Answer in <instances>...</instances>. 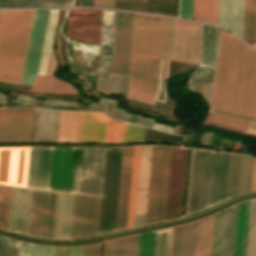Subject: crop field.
<instances>
[{"label":"crop field","mask_w":256,"mask_h":256,"mask_svg":"<svg viewBox=\"0 0 256 256\" xmlns=\"http://www.w3.org/2000/svg\"><path fill=\"white\" fill-rule=\"evenodd\" d=\"M211 111L256 121V51L224 31Z\"/></svg>","instance_id":"1"},{"label":"crop field","mask_w":256,"mask_h":256,"mask_svg":"<svg viewBox=\"0 0 256 256\" xmlns=\"http://www.w3.org/2000/svg\"><path fill=\"white\" fill-rule=\"evenodd\" d=\"M163 17L135 14L128 96L152 104L159 72Z\"/></svg>","instance_id":"2"},{"label":"crop field","mask_w":256,"mask_h":256,"mask_svg":"<svg viewBox=\"0 0 256 256\" xmlns=\"http://www.w3.org/2000/svg\"><path fill=\"white\" fill-rule=\"evenodd\" d=\"M75 194L33 189L29 236L70 239Z\"/></svg>","instance_id":"3"},{"label":"crop field","mask_w":256,"mask_h":256,"mask_svg":"<svg viewBox=\"0 0 256 256\" xmlns=\"http://www.w3.org/2000/svg\"><path fill=\"white\" fill-rule=\"evenodd\" d=\"M34 10H2L0 80L19 83Z\"/></svg>","instance_id":"4"},{"label":"crop field","mask_w":256,"mask_h":256,"mask_svg":"<svg viewBox=\"0 0 256 256\" xmlns=\"http://www.w3.org/2000/svg\"><path fill=\"white\" fill-rule=\"evenodd\" d=\"M202 24L164 17L161 57L200 64Z\"/></svg>","instance_id":"5"},{"label":"crop field","mask_w":256,"mask_h":256,"mask_svg":"<svg viewBox=\"0 0 256 256\" xmlns=\"http://www.w3.org/2000/svg\"><path fill=\"white\" fill-rule=\"evenodd\" d=\"M214 215L173 228L170 256H209Z\"/></svg>","instance_id":"6"},{"label":"crop field","mask_w":256,"mask_h":256,"mask_svg":"<svg viewBox=\"0 0 256 256\" xmlns=\"http://www.w3.org/2000/svg\"><path fill=\"white\" fill-rule=\"evenodd\" d=\"M171 148L154 147L146 224L164 220Z\"/></svg>","instance_id":"7"},{"label":"crop field","mask_w":256,"mask_h":256,"mask_svg":"<svg viewBox=\"0 0 256 256\" xmlns=\"http://www.w3.org/2000/svg\"><path fill=\"white\" fill-rule=\"evenodd\" d=\"M122 147L107 148L98 234L114 230Z\"/></svg>","instance_id":"8"},{"label":"crop field","mask_w":256,"mask_h":256,"mask_svg":"<svg viewBox=\"0 0 256 256\" xmlns=\"http://www.w3.org/2000/svg\"><path fill=\"white\" fill-rule=\"evenodd\" d=\"M213 152L193 150L187 215L208 208Z\"/></svg>","instance_id":"9"},{"label":"crop field","mask_w":256,"mask_h":256,"mask_svg":"<svg viewBox=\"0 0 256 256\" xmlns=\"http://www.w3.org/2000/svg\"><path fill=\"white\" fill-rule=\"evenodd\" d=\"M134 14L116 12L112 74L129 75Z\"/></svg>","instance_id":"10"},{"label":"crop field","mask_w":256,"mask_h":256,"mask_svg":"<svg viewBox=\"0 0 256 256\" xmlns=\"http://www.w3.org/2000/svg\"><path fill=\"white\" fill-rule=\"evenodd\" d=\"M101 197L76 194L71 239L97 235Z\"/></svg>","instance_id":"11"},{"label":"crop field","mask_w":256,"mask_h":256,"mask_svg":"<svg viewBox=\"0 0 256 256\" xmlns=\"http://www.w3.org/2000/svg\"><path fill=\"white\" fill-rule=\"evenodd\" d=\"M49 10H35L20 83L35 80Z\"/></svg>","instance_id":"12"},{"label":"crop field","mask_w":256,"mask_h":256,"mask_svg":"<svg viewBox=\"0 0 256 256\" xmlns=\"http://www.w3.org/2000/svg\"><path fill=\"white\" fill-rule=\"evenodd\" d=\"M32 110L0 107V143L28 142Z\"/></svg>","instance_id":"13"},{"label":"crop field","mask_w":256,"mask_h":256,"mask_svg":"<svg viewBox=\"0 0 256 256\" xmlns=\"http://www.w3.org/2000/svg\"><path fill=\"white\" fill-rule=\"evenodd\" d=\"M106 148H84L79 193L101 195Z\"/></svg>","instance_id":"14"},{"label":"crop field","mask_w":256,"mask_h":256,"mask_svg":"<svg viewBox=\"0 0 256 256\" xmlns=\"http://www.w3.org/2000/svg\"><path fill=\"white\" fill-rule=\"evenodd\" d=\"M102 10H69L67 36L98 44Z\"/></svg>","instance_id":"15"},{"label":"crop field","mask_w":256,"mask_h":256,"mask_svg":"<svg viewBox=\"0 0 256 256\" xmlns=\"http://www.w3.org/2000/svg\"><path fill=\"white\" fill-rule=\"evenodd\" d=\"M186 149L172 148L165 220L179 217Z\"/></svg>","instance_id":"16"},{"label":"crop field","mask_w":256,"mask_h":256,"mask_svg":"<svg viewBox=\"0 0 256 256\" xmlns=\"http://www.w3.org/2000/svg\"><path fill=\"white\" fill-rule=\"evenodd\" d=\"M29 147L0 148V184L25 187Z\"/></svg>","instance_id":"17"},{"label":"crop field","mask_w":256,"mask_h":256,"mask_svg":"<svg viewBox=\"0 0 256 256\" xmlns=\"http://www.w3.org/2000/svg\"><path fill=\"white\" fill-rule=\"evenodd\" d=\"M32 189L12 187L8 230L28 235Z\"/></svg>","instance_id":"18"},{"label":"crop field","mask_w":256,"mask_h":256,"mask_svg":"<svg viewBox=\"0 0 256 256\" xmlns=\"http://www.w3.org/2000/svg\"><path fill=\"white\" fill-rule=\"evenodd\" d=\"M232 154L214 152L209 207L228 198Z\"/></svg>","instance_id":"19"},{"label":"crop field","mask_w":256,"mask_h":256,"mask_svg":"<svg viewBox=\"0 0 256 256\" xmlns=\"http://www.w3.org/2000/svg\"><path fill=\"white\" fill-rule=\"evenodd\" d=\"M74 148H53L49 189L70 192Z\"/></svg>","instance_id":"20"},{"label":"crop field","mask_w":256,"mask_h":256,"mask_svg":"<svg viewBox=\"0 0 256 256\" xmlns=\"http://www.w3.org/2000/svg\"><path fill=\"white\" fill-rule=\"evenodd\" d=\"M134 147H123L115 230L126 228Z\"/></svg>","instance_id":"21"},{"label":"crop field","mask_w":256,"mask_h":256,"mask_svg":"<svg viewBox=\"0 0 256 256\" xmlns=\"http://www.w3.org/2000/svg\"><path fill=\"white\" fill-rule=\"evenodd\" d=\"M52 148L30 147L26 187L48 189Z\"/></svg>","instance_id":"22"},{"label":"crop field","mask_w":256,"mask_h":256,"mask_svg":"<svg viewBox=\"0 0 256 256\" xmlns=\"http://www.w3.org/2000/svg\"><path fill=\"white\" fill-rule=\"evenodd\" d=\"M235 206L215 215L211 255L230 256Z\"/></svg>","instance_id":"23"},{"label":"crop field","mask_w":256,"mask_h":256,"mask_svg":"<svg viewBox=\"0 0 256 256\" xmlns=\"http://www.w3.org/2000/svg\"><path fill=\"white\" fill-rule=\"evenodd\" d=\"M60 110L33 111L29 142H56Z\"/></svg>","instance_id":"24"},{"label":"crop field","mask_w":256,"mask_h":256,"mask_svg":"<svg viewBox=\"0 0 256 256\" xmlns=\"http://www.w3.org/2000/svg\"><path fill=\"white\" fill-rule=\"evenodd\" d=\"M115 12L103 10L98 77H110Z\"/></svg>","instance_id":"25"},{"label":"crop field","mask_w":256,"mask_h":256,"mask_svg":"<svg viewBox=\"0 0 256 256\" xmlns=\"http://www.w3.org/2000/svg\"><path fill=\"white\" fill-rule=\"evenodd\" d=\"M244 0H219L218 25L242 38Z\"/></svg>","instance_id":"26"},{"label":"crop field","mask_w":256,"mask_h":256,"mask_svg":"<svg viewBox=\"0 0 256 256\" xmlns=\"http://www.w3.org/2000/svg\"><path fill=\"white\" fill-rule=\"evenodd\" d=\"M172 228L139 235L137 256H169Z\"/></svg>","instance_id":"27"},{"label":"crop field","mask_w":256,"mask_h":256,"mask_svg":"<svg viewBox=\"0 0 256 256\" xmlns=\"http://www.w3.org/2000/svg\"><path fill=\"white\" fill-rule=\"evenodd\" d=\"M251 200L236 205L231 256H245Z\"/></svg>","instance_id":"28"},{"label":"crop field","mask_w":256,"mask_h":256,"mask_svg":"<svg viewBox=\"0 0 256 256\" xmlns=\"http://www.w3.org/2000/svg\"><path fill=\"white\" fill-rule=\"evenodd\" d=\"M193 0H180L179 16L192 19ZM218 0H194L193 19L217 24Z\"/></svg>","instance_id":"29"},{"label":"crop field","mask_w":256,"mask_h":256,"mask_svg":"<svg viewBox=\"0 0 256 256\" xmlns=\"http://www.w3.org/2000/svg\"><path fill=\"white\" fill-rule=\"evenodd\" d=\"M240 155L233 154L229 198L237 194ZM253 158L241 155L238 194L250 191Z\"/></svg>","instance_id":"30"},{"label":"crop field","mask_w":256,"mask_h":256,"mask_svg":"<svg viewBox=\"0 0 256 256\" xmlns=\"http://www.w3.org/2000/svg\"><path fill=\"white\" fill-rule=\"evenodd\" d=\"M174 0H114V9L153 12L173 16Z\"/></svg>","instance_id":"31"},{"label":"crop field","mask_w":256,"mask_h":256,"mask_svg":"<svg viewBox=\"0 0 256 256\" xmlns=\"http://www.w3.org/2000/svg\"><path fill=\"white\" fill-rule=\"evenodd\" d=\"M83 112L61 110L57 142L79 143Z\"/></svg>","instance_id":"32"},{"label":"crop field","mask_w":256,"mask_h":256,"mask_svg":"<svg viewBox=\"0 0 256 256\" xmlns=\"http://www.w3.org/2000/svg\"><path fill=\"white\" fill-rule=\"evenodd\" d=\"M107 117L84 112L80 143L104 142Z\"/></svg>","instance_id":"33"},{"label":"crop field","mask_w":256,"mask_h":256,"mask_svg":"<svg viewBox=\"0 0 256 256\" xmlns=\"http://www.w3.org/2000/svg\"><path fill=\"white\" fill-rule=\"evenodd\" d=\"M138 235L107 241L103 256H136Z\"/></svg>","instance_id":"34"},{"label":"crop field","mask_w":256,"mask_h":256,"mask_svg":"<svg viewBox=\"0 0 256 256\" xmlns=\"http://www.w3.org/2000/svg\"><path fill=\"white\" fill-rule=\"evenodd\" d=\"M31 91L52 94H78L69 83L61 82L54 77L41 75H38L37 81Z\"/></svg>","instance_id":"35"},{"label":"crop field","mask_w":256,"mask_h":256,"mask_svg":"<svg viewBox=\"0 0 256 256\" xmlns=\"http://www.w3.org/2000/svg\"><path fill=\"white\" fill-rule=\"evenodd\" d=\"M0 7H74V0H0Z\"/></svg>","instance_id":"36"},{"label":"crop field","mask_w":256,"mask_h":256,"mask_svg":"<svg viewBox=\"0 0 256 256\" xmlns=\"http://www.w3.org/2000/svg\"><path fill=\"white\" fill-rule=\"evenodd\" d=\"M243 39L256 40V0H245Z\"/></svg>","instance_id":"37"},{"label":"crop field","mask_w":256,"mask_h":256,"mask_svg":"<svg viewBox=\"0 0 256 256\" xmlns=\"http://www.w3.org/2000/svg\"><path fill=\"white\" fill-rule=\"evenodd\" d=\"M58 10H51L38 74L45 75Z\"/></svg>","instance_id":"38"},{"label":"crop field","mask_w":256,"mask_h":256,"mask_svg":"<svg viewBox=\"0 0 256 256\" xmlns=\"http://www.w3.org/2000/svg\"><path fill=\"white\" fill-rule=\"evenodd\" d=\"M140 147H135L127 228L133 227Z\"/></svg>","instance_id":"39"},{"label":"crop field","mask_w":256,"mask_h":256,"mask_svg":"<svg viewBox=\"0 0 256 256\" xmlns=\"http://www.w3.org/2000/svg\"><path fill=\"white\" fill-rule=\"evenodd\" d=\"M246 256H256V199L252 200Z\"/></svg>","instance_id":"40"},{"label":"crop field","mask_w":256,"mask_h":256,"mask_svg":"<svg viewBox=\"0 0 256 256\" xmlns=\"http://www.w3.org/2000/svg\"><path fill=\"white\" fill-rule=\"evenodd\" d=\"M125 123L108 118L105 142L123 143Z\"/></svg>","instance_id":"41"},{"label":"crop field","mask_w":256,"mask_h":256,"mask_svg":"<svg viewBox=\"0 0 256 256\" xmlns=\"http://www.w3.org/2000/svg\"><path fill=\"white\" fill-rule=\"evenodd\" d=\"M11 187L0 186V228L7 230Z\"/></svg>","instance_id":"42"},{"label":"crop field","mask_w":256,"mask_h":256,"mask_svg":"<svg viewBox=\"0 0 256 256\" xmlns=\"http://www.w3.org/2000/svg\"><path fill=\"white\" fill-rule=\"evenodd\" d=\"M183 137L144 128L142 142H170L181 144Z\"/></svg>","instance_id":"43"},{"label":"crop field","mask_w":256,"mask_h":256,"mask_svg":"<svg viewBox=\"0 0 256 256\" xmlns=\"http://www.w3.org/2000/svg\"><path fill=\"white\" fill-rule=\"evenodd\" d=\"M207 121L228 126V127L237 128L244 131L246 130L247 125L249 123L248 121H244V120H240V119H236V118H232V117H228V116H224V115H220L212 112L210 113Z\"/></svg>","instance_id":"44"},{"label":"crop field","mask_w":256,"mask_h":256,"mask_svg":"<svg viewBox=\"0 0 256 256\" xmlns=\"http://www.w3.org/2000/svg\"><path fill=\"white\" fill-rule=\"evenodd\" d=\"M83 148H75L71 192L78 193Z\"/></svg>","instance_id":"45"},{"label":"crop field","mask_w":256,"mask_h":256,"mask_svg":"<svg viewBox=\"0 0 256 256\" xmlns=\"http://www.w3.org/2000/svg\"><path fill=\"white\" fill-rule=\"evenodd\" d=\"M213 72L214 69L201 66L192 73L189 82L212 83Z\"/></svg>","instance_id":"46"},{"label":"crop field","mask_w":256,"mask_h":256,"mask_svg":"<svg viewBox=\"0 0 256 256\" xmlns=\"http://www.w3.org/2000/svg\"><path fill=\"white\" fill-rule=\"evenodd\" d=\"M21 242L3 236L1 256H19Z\"/></svg>","instance_id":"47"},{"label":"crop field","mask_w":256,"mask_h":256,"mask_svg":"<svg viewBox=\"0 0 256 256\" xmlns=\"http://www.w3.org/2000/svg\"><path fill=\"white\" fill-rule=\"evenodd\" d=\"M215 28L208 25L202 64L210 66Z\"/></svg>","instance_id":"48"},{"label":"crop field","mask_w":256,"mask_h":256,"mask_svg":"<svg viewBox=\"0 0 256 256\" xmlns=\"http://www.w3.org/2000/svg\"><path fill=\"white\" fill-rule=\"evenodd\" d=\"M143 127L126 123L124 143L141 142Z\"/></svg>","instance_id":"49"},{"label":"crop field","mask_w":256,"mask_h":256,"mask_svg":"<svg viewBox=\"0 0 256 256\" xmlns=\"http://www.w3.org/2000/svg\"><path fill=\"white\" fill-rule=\"evenodd\" d=\"M83 245L54 247L53 256H82Z\"/></svg>","instance_id":"50"},{"label":"crop field","mask_w":256,"mask_h":256,"mask_svg":"<svg viewBox=\"0 0 256 256\" xmlns=\"http://www.w3.org/2000/svg\"><path fill=\"white\" fill-rule=\"evenodd\" d=\"M78 7H93V0H78ZM94 7L113 9V0H94Z\"/></svg>","instance_id":"51"},{"label":"crop field","mask_w":256,"mask_h":256,"mask_svg":"<svg viewBox=\"0 0 256 256\" xmlns=\"http://www.w3.org/2000/svg\"><path fill=\"white\" fill-rule=\"evenodd\" d=\"M113 77H114V75H113ZM124 78H125V76H121V79H120V75H115L114 83H113L112 82V75H111V82L113 83V92L117 91L118 84H119V79L124 81ZM128 81H129V76H126L125 84H124V90H123V94L126 95V96H127V92H128ZM122 85H123V82L120 81L119 88H118L117 92L121 93ZM111 92H112V87H111Z\"/></svg>","instance_id":"52"},{"label":"crop field","mask_w":256,"mask_h":256,"mask_svg":"<svg viewBox=\"0 0 256 256\" xmlns=\"http://www.w3.org/2000/svg\"><path fill=\"white\" fill-rule=\"evenodd\" d=\"M101 242L84 245L83 256H100Z\"/></svg>","instance_id":"53"},{"label":"crop field","mask_w":256,"mask_h":256,"mask_svg":"<svg viewBox=\"0 0 256 256\" xmlns=\"http://www.w3.org/2000/svg\"><path fill=\"white\" fill-rule=\"evenodd\" d=\"M52 246L34 244L33 256H52Z\"/></svg>","instance_id":"54"},{"label":"crop field","mask_w":256,"mask_h":256,"mask_svg":"<svg viewBox=\"0 0 256 256\" xmlns=\"http://www.w3.org/2000/svg\"><path fill=\"white\" fill-rule=\"evenodd\" d=\"M220 33L221 32L217 30L216 39H215V45H214V51H213V57H212V63H211V66H214V67H216V62H217Z\"/></svg>","instance_id":"55"},{"label":"crop field","mask_w":256,"mask_h":256,"mask_svg":"<svg viewBox=\"0 0 256 256\" xmlns=\"http://www.w3.org/2000/svg\"><path fill=\"white\" fill-rule=\"evenodd\" d=\"M156 103H160V102H157ZM154 104L155 106H159V107H162V108H165V109H169V110H174V106H170V105H167V104H164V103H160V104H163V105H166V106H170V107H173V108H169V107H166V106H163V105H159V104ZM153 108V111H157L159 113H162V114H165V115H171L173 116V112L172 111H168V110H165V109H162V108H158V107H155Z\"/></svg>","instance_id":"56"},{"label":"crop field","mask_w":256,"mask_h":256,"mask_svg":"<svg viewBox=\"0 0 256 256\" xmlns=\"http://www.w3.org/2000/svg\"><path fill=\"white\" fill-rule=\"evenodd\" d=\"M32 251H33V244L25 243L22 241L20 256H32Z\"/></svg>","instance_id":"57"},{"label":"crop field","mask_w":256,"mask_h":256,"mask_svg":"<svg viewBox=\"0 0 256 256\" xmlns=\"http://www.w3.org/2000/svg\"><path fill=\"white\" fill-rule=\"evenodd\" d=\"M127 99V98H126ZM128 103L129 104H132V105H135V106H138L140 108H145V109H149L151 110L152 109V105H148V104H144V103H140V102H136V101H132V100H129L127 99Z\"/></svg>","instance_id":"58"},{"label":"crop field","mask_w":256,"mask_h":256,"mask_svg":"<svg viewBox=\"0 0 256 256\" xmlns=\"http://www.w3.org/2000/svg\"><path fill=\"white\" fill-rule=\"evenodd\" d=\"M256 190V159L254 158L253 163V175H252V186L251 191Z\"/></svg>","instance_id":"59"},{"label":"crop field","mask_w":256,"mask_h":256,"mask_svg":"<svg viewBox=\"0 0 256 256\" xmlns=\"http://www.w3.org/2000/svg\"><path fill=\"white\" fill-rule=\"evenodd\" d=\"M204 124L209 125V126H216L220 129H224V130H228V131L230 130V128H228V127L216 125V124L209 123V122H205ZM231 132H238V133H242V134L244 133V131H240V130H236V129H231Z\"/></svg>","instance_id":"60"},{"label":"crop field","mask_w":256,"mask_h":256,"mask_svg":"<svg viewBox=\"0 0 256 256\" xmlns=\"http://www.w3.org/2000/svg\"><path fill=\"white\" fill-rule=\"evenodd\" d=\"M154 122H155L154 119L144 118V120H143V122L141 123V125H143V126H148V127L152 128Z\"/></svg>","instance_id":"61"},{"label":"crop field","mask_w":256,"mask_h":256,"mask_svg":"<svg viewBox=\"0 0 256 256\" xmlns=\"http://www.w3.org/2000/svg\"><path fill=\"white\" fill-rule=\"evenodd\" d=\"M124 112L125 110H121L117 108L113 117L120 120Z\"/></svg>","instance_id":"62"},{"label":"crop field","mask_w":256,"mask_h":256,"mask_svg":"<svg viewBox=\"0 0 256 256\" xmlns=\"http://www.w3.org/2000/svg\"><path fill=\"white\" fill-rule=\"evenodd\" d=\"M98 81H99V78H98V80H97L96 89H97V87H98ZM101 81H102V78H101ZM99 84H100V81H99ZM109 84H110V78H107L106 94L109 93ZM102 85H103V81H102ZM100 88H101V84H100ZM98 90H99V87H98ZM101 91H102V88H101Z\"/></svg>","instance_id":"63"},{"label":"crop field","mask_w":256,"mask_h":256,"mask_svg":"<svg viewBox=\"0 0 256 256\" xmlns=\"http://www.w3.org/2000/svg\"><path fill=\"white\" fill-rule=\"evenodd\" d=\"M50 106H53V107H64V102L51 100Z\"/></svg>","instance_id":"64"},{"label":"crop field","mask_w":256,"mask_h":256,"mask_svg":"<svg viewBox=\"0 0 256 256\" xmlns=\"http://www.w3.org/2000/svg\"><path fill=\"white\" fill-rule=\"evenodd\" d=\"M77 101H65V107L76 108Z\"/></svg>","instance_id":"65"},{"label":"crop field","mask_w":256,"mask_h":256,"mask_svg":"<svg viewBox=\"0 0 256 256\" xmlns=\"http://www.w3.org/2000/svg\"><path fill=\"white\" fill-rule=\"evenodd\" d=\"M165 126H166V125H165ZM165 126H161V125L155 124L153 128H154V129H160V130H163V131H168V132H170V131H171V128L165 127Z\"/></svg>","instance_id":"66"},{"label":"crop field","mask_w":256,"mask_h":256,"mask_svg":"<svg viewBox=\"0 0 256 256\" xmlns=\"http://www.w3.org/2000/svg\"><path fill=\"white\" fill-rule=\"evenodd\" d=\"M211 91H212V85H207V103H208V105L210 103Z\"/></svg>","instance_id":"67"},{"label":"crop field","mask_w":256,"mask_h":256,"mask_svg":"<svg viewBox=\"0 0 256 256\" xmlns=\"http://www.w3.org/2000/svg\"><path fill=\"white\" fill-rule=\"evenodd\" d=\"M117 102H118V101L113 100L111 109H110V111H109V113H108L110 116L113 115V112H114V110H115V108H116V106H117Z\"/></svg>","instance_id":"68"},{"label":"crop field","mask_w":256,"mask_h":256,"mask_svg":"<svg viewBox=\"0 0 256 256\" xmlns=\"http://www.w3.org/2000/svg\"><path fill=\"white\" fill-rule=\"evenodd\" d=\"M110 101H111V100H109V99H104V98H101V100H100V102H102L103 104H105V105L107 106V111H106V113H108Z\"/></svg>","instance_id":"69"},{"label":"crop field","mask_w":256,"mask_h":256,"mask_svg":"<svg viewBox=\"0 0 256 256\" xmlns=\"http://www.w3.org/2000/svg\"><path fill=\"white\" fill-rule=\"evenodd\" d=\"M89 110L105 111V107L90 106Z\"/></svg>","instance_id":"70"},{"label":"crop field","mask_w":256,"mask_h":256,"mask_svg":"<svg viewBox=\"0 0 256 256\" xmlns=\"http://www.w3.org/2000/svg\"><path fill=\"white\" fill-rule=\"evenodd\" d=\"M137 117H138L137 115L132 114L131 117H130V119H129V122L135 123Z\"/></svg>","instance_id":"71"},{"label":"crop field","mask_w":256,"mask_h":256,"mask_svg":"<svg viewBox=\"0 0 256 256\" xmlns=\"http://www.w3.org/2000/svg\"><path fill=\"white\" fill-rule=\"evenodd\" d=\"M129 117H130V114H126V113H125L124 116H123V118H122V120L128 121Z\"/></svg>","instance_id":"72"},{"label":"crop field","mask_w":256,"mask_h":256,"mask_svg":"<svg viewBox=\"0 0 256 256\" xmlns=\"http://www.w3.org/2000/svg\"><path fill=\"white\" fill-rule=\"evenodd\" d=\"M193 90L199 93V84H194Z\"/></svg>","instance_id":"73"},{"label":"crop field","mask_w":256,"mask_h":256,"mask_svg":"<svg viewBox=\"0 0 256 256\" xmlns=\"http://www.w3.org/2000/svg\"><path fill=\"white\" fill-rule=\"evenodd\" d=\"M206 135H207V133L203 132V137H202L201 145H204Z\"/></svg>","instance_id":"74"},{"label":"crop field","mask_w":256,"mask_h":256,"mask_svg":"<svg viewBox=\"0 0 256 256\" xmlns=\"http://www.w3.org/2000/svg\"><path fill=\"white\" fill-rule=\"evenodd\" d=\"M23 98L17 97L16 104H22Z\"/></svg>","instance_id":"75"},{"label":"crop field","mask_w":256,"mask_h":256,"mask_svg":"<svg viewBox=\"0 0 256 256\" xmlns=\"http://www.w3.org/2000/svg\"><path fill=\"white\" fill-rule=\"evenodd\" d=\"M143 120V118L141 117H138L137 121H136V124L140 125L141 121Z\"/></svg>","instance_id":"76"},{"label":"crop field","mask_w":256,"mask_h":256,"mask_svg":"<svg viewBox=\"0 0 256 256\" xmlns=\"http://www.w3.org/2000/svg\"><path fill=\"white\" fill-rule=\"evenodd\" d=\"M210 135H211V134L208 133L207 139H206V143H205L206 146L208 145V142H209V139H210Z\"/></svg>","instance_id":"77"},{"label":"crop field","mask_w":256,"mask_h":256,"mask_svg":"<svg viewBox=\"0 0 256 256\" xmlns=\"http://www.w3.org/2000/svg\"><path fill=\"white\" fill-rule=\"evenodd\" d=\"M35 103H36V98H31L30 104L35 105Z\"/></svg>","instance_id":"78"},{"label":"crop field","mask_w":256,"mask_h":256,"mask_svg":"<svg viewBox=\"0 0 256 256\" xmlns=\"http://www.w3.org/2000/svg\"><path fill=\"white\" fill-rule=\"evenodd\" d=\"M43 106H49V100L44 101Z\"/></svg>","instance_id":"79"},{"label":"crop field","mask_w":256,"mask_h":256,"mask_svg":"<svg viewBox=\"0 0 256 256\" xmlns=\"http://www.w3.org/2000/svg\"><path fill=\"white\" fill-rule=\"evenodd\" d=\"M1 98H2V104H5V99H4V95L1 94Z\"/></svg>","instance_id":"80"},{"label":"crop field","mask_w":256,"mask_h":256,"mask_svg":"<svg viewBox=\"0 0 256 256\" xmlns=\"http://www.w3.org/2000/svg\"><path fill=\"white\" fill-rule=\"evenodd\" d=\"M26 98H24L23 104H25ZM30 98H27V104H29Z\"/></svg>","instance_id":"81"},{"label":"crop field","mask_w":256,"mask_h":256,"mask_svg":"<svg viewBox=\"0 0 256 256\" xmlns=\"http://www.w3.org/2000/svg\"><path fill=\"white\" fill-rule=\"evenodd\" d=\"M255 123V122H254ZM254 123H252V124H254ZM251 125V124H250ZM251 126H255V125H251ZM251 126H249V128H253V129H256V127H251ZM250 130V129H249ZM255 131V130H254Z\"/></svg>","instance_id":"82"},{"label":"crop field","mask_w":256,"mask_h":256,"mask_svg":"<svg viewBox=\"0 0 256 256\" xmlns=\"http://www.w3.org/2000/svg\"><path fill=\"white\" fill-rule=\"evenodd\" d=\"M1 241H2V236H0V251H1Z\"/></svg>","instance_id":"83"},{"label":"crop field","mask_w":256,"mask_h":256,"mask_svg":"<svg viewBox=\"0 0 256 256\" xmlns=\"http://www.w3.org/2000/svg\"><path fill=\"white\" fill-rule=\"evenodd\" d=\"M0 103H1V99H0Z\"/></svg>","instance_id":"84"},{"label":"crop field","mask_w":256,"mask_h":256,"mask_svg":"<svg viewBox=\"0 0 256 256\" xmlns=\"http://www.w3.org/2000/svg\"><path fill=\"white\" fill-rule=\"evenodd\" d=\"M1 11V10H0Z\"/></svg>","instance_id":"85"}]
</instances>
